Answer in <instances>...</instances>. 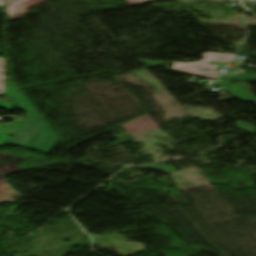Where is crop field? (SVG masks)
Segmentation results:
<instances>
[{"label":"crop field","instance_id":"5","mask_svg":"<svg viewBox=\"0 0 256 256\" xmlns=\"http://www.w3.org/2000/svg\"><path fill=\"white\" fill-rule=\"evenodd\" d=\"M5 93L4 59H0V94Z\"/></svg>","mask_w":256,"mask_h":256},{"label":"crop field","instance_id":"2","mask_svg":"<svg viewBox=\"0 0 256 256\" xmlns=\"http://www.w3.org/2000/svg\"><path fill=\"white\" fill-rule=\"evenodd\" d=\"M171 63H173L172 69L180 72L204 76V77H212V78H217L218 76V72H214L215 69L219 67L216 65L203 64L199 62H195V63L171 62ZM199 69H210V71L209 72L199 71Z\"/></svg>","mask_w":256,"mask_h":256},{"label":"crop field","instance_id":"10","mask_svg":"<svg viewBox=\"0 0 256 256\" xmlns=\"http://www.w3.org/2000/svg\"><path fill=\"white\" fill-rule=\"evenodd\" d=\"M11 105H13V103H7L6 101H0V107L7 109V110H11L13 107H10Z\"/></svg>","mask_w":256,"mask_h":256},{"label":"crop field","instance_id":"8","mask_svg":"<svg viewBox=\"0 0 256 256\" xmlns=\"http://www.w3.org/2000/svg\"><path fill=\"white\" fill-rule=\"evenodd\" d=\"M143 168H156V169H160V170H165V171H170L173 172L175 171V169L171 166H148V167H140V169Z\"/></svg>","mask_w":256,"mask_h":256},{"label":"crop field","instance_id":"9","mask_svg":"<svg viewBox=\"0 0 256 256\" xmlns=\"http://www.w3.org/2000/svg\"><path fill=\"white\" fill-rule=\"evenodd\" d=\"M21 125H22L21 123L14 122V123H11V124H8V125L0 124V128L6 127V128H10V129L15 128L16 130H18ZM2 131H4V130H2Z\"/></svg>","mask_w":256,"mask_h":256},{"label":"crop field","instance_id":"7","mask_svg":"<svg viewBox=\"0 0 256 256\" xmlns=\"http://www.w3.org/2000/svg\"><path fill=\"white\" fill-rule=\"evenodd\" d=\"M236 127L239 129L245 130L247 132H251V133L256 132V128H254L246 123H243V122H238Z\"/></svg>","mask_w":256,"mask_h":256},{"label":"crop field","instance_id":"1","mask_svg":"<svg viewBox=\"0 0 256 256\" xmlns=\"http://www.w3.org/2000/svg\"><path fill=\"white\" fill-rule=\"evenodd\" d=\"M6 91L18 102L19 106L25 110L30 117L24 122L21 128L16 132L8 144L26 147L43 127H46L41 134L27 147L34 150L49 153L60 139L50 130L45 122L35 113L32 107L24 100V98L14 89V87L6 81Z\"/></svg>","mask_w":256,"mask_h":256},{"label":"crop field","instance_id":"14","mask_svg":"<svg viewBox=\"0 0 256 256\" xmlns=\"http://www.w3.org/2000/svg\"><path fill=\"white\" fill-rule=\"evenodd\" d=\"M5 1H6V5H7V4H9V3H11V2H13L15 0H5Z\"/></svg>","mask_w":256,"mask_h":256},{"label":"crop field","instance_id":"12","mask_svg":"<svg viewBox=\"0 0 256 256\" xmlns=\"http://www.w3.org/2000/svg\"><path fill=\"white\" fill-rule=\"evenodd\" d=\"M140 62H144V63H146L147 65L166 64V63L158 62V61H140Z\"/></svg>","mask_w":256,"mask_h":256},{"label":"crop field","instance_id":"4","mask_svg":"<svg viewBox=\"0 0 256 256\" xmlns=\"http://www.w3.org/2000/svg\"><path fill=\"white\" fill-rule=\"evenodd\" d=\"M44 0H19L15 3H13L16 8L21 12L22 15L28 14L29 12L26 10L27 8L40 3Z\"/></svg>","mask_w":256,"mask_h":256},{"label":"crop field","instance_id":"6","mask_svg":"<svg viewBox=\"0 0 256 256\" xmlns=\"http://www.w3.org/2000/svg\"><path fill=\"white\" fill-rule=\"evenodd\" d=\"M8 10V14L11 17L12 20H16V19H22L24 18L20 12L15 8L14 5H10L9 7H7Z\"/></svg>","mask_w":256,"mask_h":256},{"label":"crop field","instance_id":"15","mask_svg":"<svg viewBox=\"0 0 256 256\" xmlns=\"http://www.w3.org/2000/svg\"><path fill=\"white\" fill-rule=\"evenodd\" d=\"M0 5H4V2H3V0H0Z\"/></svg>","mask_w":256,"mask_h":256},{"label":"crop field","instance_id":"13","mask_svg":"<svg viewBox=\"0 0 256 256\" xmlns=\"http://www.w3.org/2000/svg\"><path fill=\"white\" fill-rule=\"evenodd\" d=\"M6 137H7L6 133L0 131V146L3 145L2 141H4V138Z\"/></svg>","mask_w":256,"mask_h":256},{"label":"crop field","instance_id":"3","mask_svg":"<svg viewBox=\"0 0 256 256\" xmlns=\"http://www.w3.org/2000/svg\"><path fill=\"white\" fill-rule=\"evenodd\" d=\"M205 57L200 62L208 63L210 61L230 63L235 59V55L231 54H218V53H204Z\"/></svg>","mask_w":256,"mask_h":256},{"label":"crop field","instance_id":"11","mask_svg":"<svg viewBox=\"0 0 256 256\" xmlns=\"http://www.w3.org/2000/svg\"><path fill=\"white\" fill-rule=\"evenodd\" d=\"M127 3H129L131 6L138 5L140 3L150 1V0H125Z\"/></svg>","mask_w":256,"mask_h":256}]
</instances>
